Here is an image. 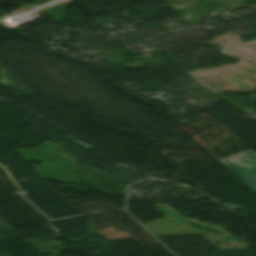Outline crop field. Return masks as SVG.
<instances>
[{
    "instance_id": "8a807250",
    "label": "crop field",
    "mask_w": 256,
    "mask_h": 256,
    "mask_svg": "<svg viewBox=\"0 0 256 256\" xmlns=\"http://www.w3.org/2000/svg\"><path fill=\"white\" fill-rule=\"evenodd\" d=\"M219 162L256 192V153L254 151L249 149Z\"/></svg>"
}]
</instances>
